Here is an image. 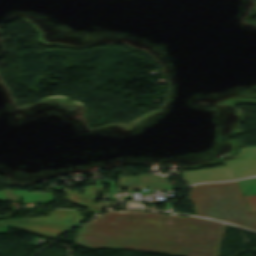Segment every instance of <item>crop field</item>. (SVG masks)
<instances>
[{
    "instance_id": "412701ff",
    "label": "crop field",
    "mask_w": 256,
    "mask_h": 256,
    "mask_svg": "<svg viewBox=\"0 0 256 256\" xmlns=\"http://www.w3.org/2000/svg\"><path fill=\"white\" fill-rule=\"evenodd\" d=\"M146 187L149 188V191H142V188ZM156 188L159 190H167L175 188V186L168 182L167 177L158 175L149 177L145 174H142L137 177H120L118 181V190L128 189V191H134L136 189H141V191L145 193L150 192Z\"/></svg>"
},
{
    "instance_id": "d8731c3e",
    "label": "crop field",
    "mask_w": 256,
    "mask_h": 256,
    "mask_svg": "<svg viewBox=\"0 0 256 256\" xmlns=\"http://www.w3.org/2000/svg\"><path fill=\"white\" fill-rule=\"evenodd\" d=\"M250 211H256V195L244 196Z\"/></svg>"
},
{
    "instance_id": "dd49c442",
    "label": "crop field",
    "mask_w": 256,
    "mask_h": 256,
    "mask_svg": "<svg viewBox=\"0 0 256 256\" xmlns=\"http://www.w3.org/2000/svg\"><path fill=\"white\" fill-rule=\"evenodd\" d=\"M225 165L236 179L256 175V148L244 149L239 158Z\"/></svg>"
},
{
    "instance_id": "ac0d7876",
    "label": "crop field",
    "mask_w": 256,
    "mask_h": 256,
    "mask_svg": "<svg viewBox=\"0 0 256 256\" xmlns=\"http://www.w3.org/2000/svg\"><path fill=\"white\" fill-rule=\"evenodd\" d=\"M189 200L198 216L256 230V213L248 211L237 182L192 187Z\"/></svg>"
},
{
    "instance_id": "5a996713",
    "label": "crop field",
    "mask_w": 256,
    "mask_h": 256,
    "mask_svg": "<svg viewBox=\"0 0 256 256\" xmlns=\"http://www.w3.org/2000/svg\"><path fill=\"white\" fill-rule=\"evenodd\" d=\"M165 203V207H166V210L167 209H169V204L168 203H166V202H164ZM143 205V204H142ZM146 207V206H145ZM142 209H150V210H159V211H164V210H161V209H156L152 204L150 205V207L149 208H142Z\"/></svg>"
},
{
    "instance_id": "34b2d1b8",
    "label": "crop field",
    "mask_w": 256,
    "mask_h": 256,
    "mask_svg": "<svg viewBox=\"0 0 256 256\" xmlns=\"http://www.w3.org/2000/svg\"><path fill=\"white\" fill-rule=\"evenodd\" d=\"M104 183H108V193L105 195L112 203H114L116 201L114 197V182L106 180H96V185L85 186L83 196L79 195L76 191H67L68 198L72 203L97 213L111 205L105 201H99L96 205L93 204L97 192H101L102 194L106 193L101 185Z\"/></svg>"
},
{
    "instance_id": "8a807250",
    "label": "crop field",
    "mask_w": 256,
    "mask_h": 256,
    "mask_svg": "<svg viewBox=\"0 0 256 256\" xmlns=\"http://www.w3.org/2000/svg\"><path fill=\"white\" fill-rule=\"evenodd\" d=\"M225 227L193 217L110 211L79 229L77 245L173 256H218Z\"/></svg>"
},
{
    "instance_id": "3316defc",
    "label": "crop field",
    "mask_w": 256,
    "mask_h": 256,
    "mask_svg": "<svg viewBox=\"0 0 256 256\" xmlns=\"http://www.w3.org/2000/svg\"><path fill=\"white\" fill-rule=\"evenodd\" d=\"M37 188H41L40 186L36 187V188H33V189H37ZM33 189H30V190H33Z\"/></svg>"
},
{
    "instance_id": "e52e79f7",
    "label": "crop field",
    "mask_w": 256,
    "mask_h": 256,
    "mask_svg": "<svg viewBox=\"0 0 256 256\" xmlns=\"http://www.w3.org/2000/svg\"><path fill=\"white\" fill-rule=\"evenodd\" d=\"M181 174L189 184L194 182H208L234 179V177L226 170L224 166L214 169L183 172Z\"/></svg>"
},
{
    "instance_id": "f4fd0767",
    "label": "crop field",
    "mask_w": 256,
    "mask_h": 256,
    "mask_svg": "<svg viewBox=\"0 0 256 256\" xmlns=\"http://www.w3.org/2000/svg\"><path fill=\"white\" fill-rule=\"evenodd\" d=\"M76 225L77 224L53 222L45 224L17 225L10 227L54 239ZM7 230V221H0V233H7Z\"/></svg>"
}]
</instances>
